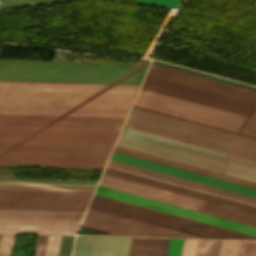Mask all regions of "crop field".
<instances>
[{
	"label": "crop field",
	"instance_id": "crop-field-1",
	"mask_svg": "<svg viewBox=\"0 0 256 256\" xmlns=\"http://www.w3.org/2000/svg\"><path fill=\"white\" fill-rule=\"evenodd\" d=\"M139 86L0 82V99L131 104ZM0 104H117L1 101ZM0 105L128 111L129 108ZM0 108V139L114 142L127 112ZM0 140V153L108 156L114 143ZM0 154V165L103 168L108 157ZM110 155V154H109Z\"/></svg>",
	"mask_w": 256,
	"mask_h": 256
},
{
	"label": "crop field",
	"instance_id": "crop-field-2",
	"mask_svg": "<svg viewBox=\"0 0 256 256\" xmlns=\"http://www.w3.org/2000/svg\"><path fill=\"white\" fill-rule=\"evenodd\" d=\"M147 72L256 101V91L254 90L242 88L164 66L151 63ZM141 88L153 90L250 117L256 108V103L253 102L148 74L146 75ZM141 88L133 103L134 105L256 136V119ZM252 117L256 118V110L254 111Z\"/></svg>",
	"mask_w": 256,
	"mask_h": 256
},
{
	"label": "crop field",
	"instance_id": "crop-field-3",
	"mask_svg": "<svg viewBox=\"0 0 256 256\" xmlns=\"http://www.w3.org/2000/svg\"><path fill=\"white\" fill-rule=\"evenodd\" d=\"M120 135L224 163H226L229 157L228 154L212 151L209 149L197 147L194 145L178 142L175 140L159 137L156 135L144 133L141 131L125 127L123 128ZM121 136L119 137L116 146L197 166L219 173L221 172L224 166V163L208 160L205 158L193 156L190 154L174 151L171 149L155 146L152 144L140 142L137 140ZM222 173L256 182V162L230 155Z\"/></svg>",
	"mask_w": 256,
	"mask_h": 256
},
{
	"label": "crop field",
	"instance_id": "crop-field-4",
	"mask_svg": "<svg viewBox=\"0 0 256 256\" xmlns=\"http://www.w3.org/2000/svg\"><path fill=\"white\" fill-rule=\"evenodd\" d=\"M124 126L256 161L255 140L133 108Z\"/></svg>",
	"mask_w": 256,
	"mask_h": 256
},
{
	"label": "crop field",
	"instance_id": "crop-field-5",
	"mask_svg": "<svg viewBox=\"0 0 256 256\" xmlns=\"http://www.w3.org/2000/svg\"><path fill=\"white\" fill-rule=\"evenodd\" d=\"M95 185L0 181V209L85 211Z\"/></svg>",
	"mask_w": 256,
	"mask_h": 256
},
{
	"label": "crop field",
	"instance_id": "crop-field-6",
	"mask_svg": "<svg viewBox=\"0 0 256 256\" xmlns=\"http://www.w3.org/2000/svg\"><path fill=\"white\" fill-rule=\"evenodd\" d=\"M90 208L163 226L201 237L221 238H254L256 237L236 231L220 228L142 206L126 203L108 197L94 195Z\"/></svg>",
	"mask_w": 256,
	"mask_h": 256
},
{
	"label": "crop field",
	"instance_id": "crop-field-7",
	"mask_svg": "<svg viewBox=\"0 0 256 256\" xmlns=\"http://www.w3.org/2000/svg\"><path fill=\"white\" fill-rule=\"evenodd\" d=\"M103 175V174H102ZM99 186L147 197L150 199L194 209L200 210L205 200L189 197L186 195L166 191L163 189L147 186L144 184L124 180L121 178L103 175ZM201 212L209 213L212 215L220 216L223 218L231 219L234 221L242 222L245 224L256 226V214L231 208L228 206L212 203L206 201Z\"/></svg>",
	"mask_w": 256,
	"mask_h": 256
},
{
	"label": "crop field",
	"instance_id": "crop-field-8",
	"mask_svg": "<svg viewBox=\"0 0 256 256\" xmlns=\"http://www.w3.org/2000/svg\"><path fill=\"white\" fill-rule=\"evenodd\" d=\"M84 212L0 210V220L80 222ZM0 221V232L75 234L80 223Z\"/></svg>",
	"mask_w": 256,
	"mask_h": 256
},
{
	"label": "crop field",
	"instance_id": "crop-field-9",
	"mask_svg": "<svg viewBox=\"0 0 256 256\" xmlns=\"http://www.w3.org/2000/svg\"><path fill=\"white\" fill-rule=\"evenodd\" d=\"M80 226L111 235L197 237L90 208Z\"/></svg>",
	"mask_w": 256,
	"mask_h": 256
},
{
	"label": "crop field",
	"instance_id": "crop-field-10",
	"mask_svg": "<svg viewBox=\"0 0 256 256\" xmlns=\"http://www.w3.org/2000/svg\"><path fill=\"white\" fill-rule=\"evenodd\" d=\"M95 193L256 236V228L244 224L228 221L225 219L209 216L206 214L190 211L187 209L171 206L99 186L97 187Z\"/></svg>",
	"mask_w": 256,
	"mask_h": 256
},
{
	"label": "crop field",
	"instance_id": "crop-field-11",
	"mask_svg": "<svg viewBox=\"0 0 256 256\" xmlns=\"http://www.w3.org/2000/svg\"><path fill=\"white\" fill-rule=\"evenodd\" d=\"M110 158L256 197V189L244 185L228 182L225 180L209 177L206 175L190 172L187 170L171 167L114 151L112 152Z\"/></svg>",
	"mask_w": 256,
	"mask_h": 256
},
{
	"label": "crop field",
	"instance_id": "crop-field-12",
	"mask_svg": "<svg viewBox=\"0 0 256 256\" xmlns=\"http://www.w3.org/2000/svg\"><path fill=\"white\" fill-rule=\"evenodd\" d=\"M95 236H77L72 256H91ZM131 237L96 236L92 256H127Z\"/></svg>",
	"mask_w": 256,
	"mask_h": 256
},
{
	"label": "crop field",
	"instance_id": "crop-field-13",
	"mask_svg": "<svg viewBox=\"0 0 256 256\" xmlns=\"http://www.w3.org/2000/svg\"><path fill=\"white\" fill-rule=\"evenodd\" d=\"M104 173L256 213V208L255 207L240 204V203H236V202L221 199V198H217V197L206 195V194H202V193H199V192L183 189V188H180V187L164 184V183H161V182L145 179V178H142V177L126 174V173H123V172H119V171H115V170H111V169H107V168L105 169Z\"/></svg>",
	"mask_w": 256,
	"mask_h": 256
},
{
	"label": "crop field",
	"instance_id": "crop-field-14",
	"mask_svg": "<svg viewBox=\"0 0 256 256\" xmlns=\"http://www.w3.org/2000/svg\"><path fill=\"white\" fill-rule=\"evenodd\" d=\"M108 164L256 203V198L251 197V196L239 194V193H236V192L224 190V189L209 186V185H205V184H202V183L190 181V180H187V179L175 177V176L160 173V172H157V171H153V170L141 168V167H138V166L126 164V163H123V162H119V161H115V160L110 159Z\"/></svg>",
	"mask_w": 256,
	"mask_h": 256
},
{
	"label": "crop field",
	"instance_id": "crop-field-15",
	"mask_svg": "<svg viewBox=\"0 0 256 256\" xmlns=\"http://www.w3.org/2000/svg\"><path fill=\"white\" fill-rule=\"evenodd\" d=\"M169 238H132L128 256H165Z\"/></svg>",
	"mask_w": 256,
	"mask_h": 256
},
{
	"label": "crop field",
	"instance_id": "crop-field-16",
	"mask_svg": "<svg viewBox=\"0 0 256 256\" xmlns=\"http://www.w3.org/2000/svg\"><path fill=\"white\" fill-rule=\"evenodd\" d=\"M113 150L256 188V183L249 182V181H246V180H242V179L222 175V174H219V173L203 170V169H200V168L188 166V165H185V164L169 161V160H166V159L150 156V155H147V154L135 152V151H132V150H128V149H124V148H120V147H116V146L114 147Z\"/></svg>",
	"mask_w": 256,
	"mask_h": 256
},
{
	"label": "crop field",
	"instance_id": "crop-field-17",
	"mask_svg": "<svg viewBox=\"0 0 256 256\" xmlns=\"http://www.w3.org/2000/svg\"><path fill=\"white\" fill-rule=\"evenodd\" d=\"M221 240L209 239L205 256H218ZM240 240H222L219 256H237Z\"/></svg>",
	"mask_w": 256,
	"mask_h": 256
},
{
	"label": "crop field",
	"instance_id": "crop-field-18",
	"mask_svg": "<svg viewBox=\"0 0 256 256\" xmlns=\"http://www.w3.org/2000/svg\"><path fill=\"white\" fill-rule=\"evenodd\" d=\"M184 239L170 238L166 256H180ZM198 239H185L181 256H195Z\"/></svg>",
	"mask_w": 256,
	"mask_h": 256
},
{
	"label": "crop field",
	"instance_id": "crop-field-19",
	"mask_svg": "<svg viewBox=\"0 0 256 256\" xmlns=\"http://www.w3.org/2000/svg\"><path fill=\"white\" fill-rule=\"evenodd\" d=\"M107 168H111V169H115V170L123 171V172H126V173H130V174H134V175L142 176V177H145V178H149V179H153V180L161 181V182H164V183H168V184H172V185L180 186V187H183V188H187V189H191V190L199 191V192H202V193H206V194L214 195V196H217V197H221V198H225V199L233 200V201H236V202H240V203H244V204H248V205H252V206H255V207H256V204H254V203H250V202H246V201L238 200V199H235V198H231V197H227V196L219 195V194H216V193H212V192L204 191V190H201V189H197V188H193V187L185 186V185H182V184H178V183H174V182L166 181V180H163V179H159V178H155V177L147 176V175H144V174H140V173H136V172L128 171V170H125V169H121V168H117V167H113V166H109V165H107Z\"/></svg>",
	"mask_w": 256,
	"mask_h": 256
},
{
	"label": "crop field",
	"instance_id": "crop-field-20",
	"mask_svg": "<svg viewBox=\"0 0 256 256\" xmlns=\"http://www.w3.org/2000/svg\"><path fill=\"white\" fill-rule=\"evenodd\" d=\"M16 234H1L0 256H11Z\"/></svg>",
	"mask_w": 256,
	"mask_h": 256
},
{
	"label": "crop field",
	"instance_id": "crop-field-21",
	"mask_svg": "<svg viewBox=\"0 0 256 256\" xmlns=\"http://www.w3.org/2000/svg\"><path fill=\"white\" fill-rule=\"evenodd\" d=\"M132 107H133V108H137V109H141V110H145V111H149V112H152V113H156V114H160V115L168 116V117H171V118H175V119L183 120V121H186V122H190V123H194V124L202 125V126H205V127H209V128H213V129L221 130V131H224V132H228V133H232V134L240 135V136H243V137H247V138H251V139H255V140H256V137H252V136L244 135V134L237 133V132H233V131H230V130H226V129H222V128L214 127V126H211V125H207V124H203V123L195 122V121H192V120H188V119H184V118H180V117L172 116V115H169V114H165V113H161V112L153 111V110H150V109H146V108H142V107H138V106H134V105H133Z\"/></svg>",
	"mask_w": 256,
	"mask_h": 256
},
{
	"label": "crop field",
	"instance_id": "crop-field-22",
	"mask_svg": "<svg viewBox=\"0 0 256 256\" xmlns=\"http://www.w3.org/2000/svg\"><path fill=\"white\" fill-rule=\"evenodd\" d=\"M238 256H256V241L241 240Z\"/></svg>",
	"mask_w": 256,
	"mask_h": 256
},
{
	"label": "crop field",
	"instance_id": "crop-field-23",
	"mask_svg": "<svg viewBox=\"0 0 256 256\" xmlns=\"http://www.w3.org/2000/svg\"><path fill=\"white\" fill-rule=\"evenodd\" d=\"M62 235H50L46 256H57Z\"/></svg>",
	"mask_w": 256,
	"mask_h": 256
},
{
	"label": "crop field",
	"instance_id": "crop-field-24",
	"mask_svg": "<svg viewBox=\"0 0 256 256\" xmlns=\"http://www.w3.org/2000/svg\"><path fill=\"white\" fill-rule=\"evenodd\" d=\"M49 235H38L34 256H44Z\"/></svg>",
	"mask_w": 256,
	"mask_h": 256
},
{
	"label": "crop field",
	"instance_id": "crop-field-25",
	"mask_svg": "<svg viewBox=\"0 0 256 256\" xmlns=\"http://www.w3.org/2000/svg\"><path fill=\"white\" fill-rule=\"evenodd\" d=\"M181 2L183 0H180ZM179 0H137V2L147 3V4H154V5H161L167 7H176L179 8L180 6Z\"/></svg>",
	"mask_w": 256,
	"mask_h": 256
},
{
	"label": "crop field",
	"instance_id": "crop-field-26",
	"mask_svg": "<svg viewBox=\"0 0 256 256\" xmlns=\"http://www.w3.org/2000/svg\"><path fill=\"white\" fill-rule=\"evenodd\" d=\"M208 239H199L196 256H204Z\"/></svg>",
	"mask_w": 256,
	"mask_h": 256
}]
</instances>
